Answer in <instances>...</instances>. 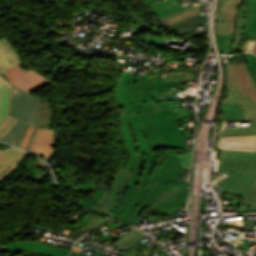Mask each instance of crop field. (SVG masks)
Returning <instances> with one entry per match:
<instances>
[{
	"label": "crop field",
	"instance_id": "55",
	"mask_svg": "<svg viewBox=\"0 0 256 256\" xmlns=\"http://www.w3.org/2000/svg\"><path fill=\"white\" fill-rule=\"evenodd\" d=\"M140 1H142V0H140Z\"/></svg>",
	"mask_w": 256,
	"mask_h": 256
},
{
	"label": "crop field",
	"instance_id": "28",
	"mask_svg": "<svg viewBox=\"0 0 256 256\" xmlns=\"http://www.w3.org/2000/svg\"><path fill=\"white\" fill-rule=\"evenodd\" d=\"M244 37L256 39V20L245 19Z\"/></svg>",
	"mask_w": 256,
	"mask_h": 256
},
{
	"label": "crop field",
	"instance_id": "20",
	"mask_svg": "<svg viewBox=\"0 0 256 256\" xmlns=\"http://www.w3.org/2000/svg\"><path fill=\"white\" fill-rule=\"evenodd\" d=\"M52 122V109L49 102L40 97L39 127L50 128Z\"/></svg>",
	"mask_w": 256,
	"mask_h": 256
},
{
	"label": "crop field",
	"instance_id": "24",
	"mask_svg": "<svg viewBox=\"0 0 256 256\" xmlns=\"http://www.w3.org/2000/svg\"><path fill=\"white\" fill-rule=\"evenodd\" d=\"M218 144L256 145V135L219 138Z\"/></svg>",
	"mask_w": 256,
	"mask_h": 256
},
{
	"label": "crop field",
	"instance_id": "38",
	"mask_svg": "<svg viewBox=\"0 0 256 256\" xmlns=\"http://www.w3.org/2000/svg\"><path fill=\"white\" fill-rule=\"evenodd\" d=\"M181 8H183V6L181 4H178V5H176V6L172 7V8H169V9H167L165 11H162V12L156 14V16L159 18V17L164 16L166 14L175 12V11L181 9Z\"/></svg>",
	"mask_w": 256,
	"mask_h": 256
},
{
	"label": "crop field",
	"instance_id": "14",
	"mask_svg": "<svg viewBox=\"0 0 256 256\" xmlns=\"http://www.w3.org/2000/svg\"><path fill=\"white\" fill-rule=\"evenodd\" d=\"M21 63L20 57L5 39H0V73Z\"/></svg>",
	"mask_w": 256,
	"mask_h": 256
},
{
	"label": "crop field",
	"instance_id": "44",
	"mask_svg": "<svg viewBox=\"0 0 256 256\" xmlns=\"http://www.w3.org/2000/svg\"><path fill=\"white\" fill-rule=\"evenodd\" d=\"M34 164H36L38 167L46 170L48 169L49 167L47 166L46 163H44L43 161H41L40 159H38V161L34 162Z\"/></svg>",
	"mask_w": 256,
	"mask_h": 256
},
{
	"label": "crop field",
	"instance_id": "53",
	"mask_svg": "<svg viewBox=\"0 0 256 256\" xmlns=\"http://www.w3.org/2000/svg\"><path fill=\"white\" fill-rule=\"evenodd\" d=\"M203 256H208V254L204 253Z\"/></svg>",
	"mask_w": 256,
	"mask_h": 256
},
{
	"label": "crop field",
	"instance_id": "10",
	"mask_svg": "<svg viewBox=\"0 0 256 256\" xmlns=\"http://www.w3.org/2000/svg\"><path fill=\"white\" fill-rule=\"evenodd\" d=\"M243 0H219L215 14L217 35L234 34L237 10Z\"/></svg>",
	"mask_w": 256,
	"mask_h": 256
},
{
	"label": "crop field",
	"instance_id": "7",
	"mask_svg": "<svg viewBox=\"0 0 256 256\" xmlns=\"http://www.w3.org/2000/svg\"><path fill=\"white\" fill-rule=\"evenodd\" d=\"M35 97L11 87L9 116L19 119L2 141L14 144L28 124L34 125Z\"/></svg>",
	"mask_w": 256,
	"mask_h": 256
},
{
	"label": "crop field",
	"instance_id": "48",
	"mask_svg": "<svg viewBox=\"0 0 256 256\" xmlns=\"http://www.w3.org/2000/svg\"><path fill=\"white\" fill-rule=\"evenodd\" d=\"M252 134H256V132L240 133V134H232V135H224V136H220V137H225V136H237V135H252Z\"/></svg>",
	"mask_w": 256,
	"mask_h": 256
},
{
	"label": "crop field",
	"instance_id": "17",
	"mask_svg": "<svg viewBox=\"0 0 256 256\" xmlns=\"http://www.w3.org/2000/svg\"><path fill=\"white\" fill-rule=\"evenodd\" d=\"M132 128L136 134L140 154H150L138 114H128Z\"/></svg>",
	"mask_w": 256,
	"mask_h": 256
},
{
	"label": "crop field",
	"instance_id": "45",
	"mask_svg": "<svg viewBox=\"0 0 256 256\" xmlns=\"http://www.w3.org/2000/svg\"><path fill=\"white\" fill-rule=\"evenodd\" d=\"M243 55H245L248 62H256V55L246 53H243Z\"/></svg>",
	"mask_w": 256,
	"mask_h": 256
},
{
	"label": "crop field",
	"instance_id": "42",
	"mask_svg": "<svg viewBox=\"0 0 256 256\" xmlns=\"http://www.w3.org/2000/svg\"><path fill=\"white\" fill-rule=\"evenodd\" d=\"M245 18L256 19V11L246 9Z\"/></svg>",
	"mask_w": 256,
	"mask_h": 256
},
{
	"label": "crop field",
	"instance_id": "27",
	"mask_svg": "<svg viewBox=\"0 0 256 256\" xmlns=\"http://www.w3.org/2000/svg\"><path fill=\"white\" fill-rule=\"evenodd\" d=\"M30 168L26 173L25 175L23 176V178H27V179H30V180H34L36 181V179L38 177L44 179V180H48V179H51V175L50 173L48 172H42L40 171L39 169L35 168L34 166L30 165ZM50 182V180H49ZM51 183V182H50Z\"/></svg>",
	"mask_w": 256,
	"mask_h": 256
},
{
	"label": "crop field",
	"instance_id": "19",
	"mask_svg": "<svg viewBox=\"0 0 256 256\" xmlns=\"http://www.w3.org/2000/svg\"><path fill=\"white\" fill-rule=\"evenodd\" d=\"M244 10H245V0L238 11L232 53L241 51V48H242Z\"/></svg>",
	"mask_w": 256,
	"mask_h": 256
},
{
	"label": "crop field",
	"instance_id": "13",
	"mask_svg": "<svg viewBox=\"0 0 256 256\" xmlns=\"http://www.w3.org/2000/svg\"><path fill=\"white\" fill-rule=\"evenodd\" d=\"M27 155L26 152L15 147L0 152V179L12 171Z\"/></svg>",
	"mask_w": 256,
	"mask_h": 256
},
{
	"label": "crop field",
	"instance_id": "31",
	"mask_svg": "<svg viewBox=\"0 0 256 256\" xmlns=\"http://www.w3.org/2000/svg\"><path fill=\"white\" fill-rule=\"evenodd\" d=\"M250 124H251V127H235V128L222 130L221 135L232 134V133H240V132L256 131V121H250Z\"/></svg>",
	"mask_w": 256,
	"mask_h": 256
},
{
	"label": "crop field",
	"instance_id": "43",
	"mask_svg": "<svg viewBox=\"0 0 256 256\" xmlns=\"http://www.w3.org/2000/svg\"><path fill=\"white\" fill-rule=\"evenodd\" d=\"M246 8L256 10V0H246Z\"/></svg>",
	"mask_w": 256,
	"mask_h": 256
},
{
	"label": "crop field",
	"instance_id": "12",
	"mask_svg": "<svg viewBox=\"0 0 256 256\" xmlns=\"http://www.w3.org/2000/svg\"><path fill=\"white\" fill-rule=\"evenodd\" d=\"M52 149L53 129L38 128L30 151L42 155L49 162Z\"/></svg>",
	"mask_w": 256,
	"mask_h": 256
},
{
	"label": "crop field",
	"instance_id": "37",
	"mask_svg": "<svg viewBox=\"0 0 256 256\" xmlns=\"http://www.w3.org/2000/svg\"><path fill=\"white\" fill-rule=\"evenodd\" d=\"M169 1H171V0H166V1H164V2L154 6L152 8H149V9L151 11H153L154 13H158V12H160L162 10H165V9L169 8L168 5L171 4Z\"/></svg>",
	"mask_w": 256,
	"mask_h": 256
},
{
	"label": "crop field",
	"instance_id": "39",
	"mask_svg": "<svg viewBox=\"0 0 256 256\" xmlns=\"http://www.w3.org/2000/svg\"><path fill=\"white\" fill-rule=\"evenodd\" d=\"M34 126H30V128L28 129L27 133L25 134V136L23 137L22 141L20 142L19 146L20 148H25L27 142H28V139L31 135V132H32V129H33Z\"/></svg>",
	"mask_w": 256,
	"mask_h": 256
},
{
	"label": "crop field",
	"instance_id": "22",
	"mask_svg": "<svg viewBox=\"0 0 256 256\" xmlns=\"http://www.w3.org/2000/svg\"><path fill=\"white\" fill-rule=\"evenodd\" d=\"M146 236L139 232H135L133 229L127 232L125 236H123L118 242L115 243V245L129 250L131 247H133L135 244H137L139 241L144 239Z\"/></svg>",
	"mask_w": 256,
	"mask_h": 256
},
{
	"label": "crop field",
	"instance_id": "40",
	"mask_svg": "<svg viewBox=\"0 0 256 256\" xmlns=\"http://www.w3.org/2000/svg\"><path fill=\"white\" fill-rule=\"evenodd\" d=\"M148 241V240H147ZM147 241L143 242L141 245H139L137 248H139L140 246H142L144 243H146ZM137 248H135L134 250L130 251L129 253H127L125 256H133L134 254H136L138 251L136 250ZM69 256H89V255H85V254H81L78 252H74L72 251L70 253Z\"/></svg>",
	"mask_w": 256,
	"mask_h": 256
},
{
	"label": "crop field",
	"instance_id": "33",
	"mask_svg": "<svg viewBox=\"0 0 256 256\" xmlns=\"http://www.w3.org/2000/svg\"><path fill=\"white\" fill-rule=\"evenodd\" d=\"M98 178L92 179L90 182L83 184V185H78V186H73V188L77 193L81 192H87V191H93L96 183H97Z\"/></svg>",
	"mask_w": 256,
	"mask_h": 256
},
{
	"label": "crop field",
	"instance_id": "11",
	"mask_svg": "<svg viewBox=\"0 0 256 256\" xmlns=\"http://www.w3.org/2000/svg\"><path fill=\"white\" fill-rule=\"evenodd\" d=\"M0 251L3 252H37L44 256H66L69 249L55 247L53 245L33 242H13L6 245Z\"/></svg>",
	"mask_w": 256,
	"mask_h": 256
},
{
	"label": "crop field",
	"instance_id": "18",
	"mask_svg": "<svg viewBox=\"0 0 256 256\" xmlns=\"http://www.w3.org/2000/svg\"><path fill=\"white\" fill-rule=\"evenodd\" d=\"M120 117H121V121H122V126H123L124 135H125L127 149H128V152L130 153V158H129L127 168H132L135 163V154H137L136 150H135V144H134V140H133V137H132V134L130 131V125H129V120H128L127 114L120 115Z\"/></svg>",
	"mask_w": 256,
	"mask_h": 256
},
{
	"label": "crop field",
	"instance_id": "41",
	"mask_svg": "<svg viewBox=\"0 0 256 256\" xmlns=\"http://www.w3.org/2000/svg\"><path fill=\"white\" fill-rule=\"evenodd\" d=\"M237 63H244L241 54L232 56L231 63H228V64H237Z\"/></svg>",
	"mask_w": 256,
	"mask_h": 256
},
{
	"label": "crop field",
	"instance_id": "9",
	"mask_svg": "<svg viewBox=\"0 0 256 256\" xmlns=\"http://www.w3.org/2000/svg\"><path fill=\"white\" fill-rule=\"evenodd\" d=\"M9 82L21 90L31 93L33 90H37L49 83L48 79L37 73L36 71L29 69L24 70L19 65L16 67L1 73Z\"/></svg>",
	"mask_w": 256,
	"mask_h": 256
},
{
	"label": "crop field",
	"instance_id": "1",
	"mask_svg": "<svg viewBox=\"0 0 256 256\" xmlns=\"http://www.w3.org/2000/svg\"><path fill=\"white\" fill-rule=\"evenodd\" d=\"M218 172L229 175L218 189L243 197L241 204L249 205V211H256V152L222 150Z\"/></svg>",
	"mask_w": 256,
	"mask_h": 256
},
{
	"label": "crop field",
	"instance_id": "54",
	"mask_svg": "<svg viewBox=\"0 0 256 256\" xmlns=\"http://www.w3.org/2000/svg\"><path fill=\"white\" fill-rule=\"evenodd\" d=\"M254 76V78H255V80H256V75H253Z\"/></svg>",
	"mask_w": 256,
	"mask_h": 256
},
{
	"label": "crop field",
	"instance_id": "30",
	"mask_svg": "<svg viewBox=\"0 0 256 256\" xmlns=\"http://www.w3.org/2000/svg\"><path fill=\"white\" fill-rule=\"evenodd\" d=\"M200 8L192 10V11L187 12V13H184V14H182L180 16H177L175 18H172V19H170L168 21H165V22H163V25H164V27H166V26L171 25L173 23L179 22V21L184 20L186 18H190V17H192L194 15H197V14L200 13Z\"/></svg>",
	"mask_w": 256,
	"mask_h": 256
},
{
	"label": "crop field",
	"instance_id": "29",
	"mask_svg": "<svg viewBox=\"0 0 256 256\" xmlns=\"http://www.w3.org/2000/svg\"><path fill=\"white\" fill-rule=\"evenodd\" d=\"M17 119H14L9 116H5L0 122V140L3 136L9 131V129L15 124Z\"/></svg>",
	"mask_w": 256,
	"mask_h": 256
},
{
	"label": "crop field",
	"instance_id": "35",
	"mask_svg": "<svg viewBox=\"0 0 256 256\" xmlns=\"http://www.w3.org/2000/svg\"><path fill=\"white\" fill-rule=\"evenodd\" d=\"M38 107H39V97H36V109H35V127H34V130L32 132V135L30 137V140L27 144V147H26V150H30V147H31V144H32V141H33V138H34V135H35V132H36V129L38 127Z\"/></svg>",
	"mask_w": 256,
	"mask_h": 256
},
{
	"label": "crop field",
	"instance_id": "2",
	"mask_svg": "<svg viewBox=\"0 0 256 256\" xmlns=\"http://www.w3.org/2000/svg\"><path fill=\"white\" fill-rule=\"evenodd\" d=\"M174 89L176 88L149 90V73L139 75L124 72L115 81L117 106L123 107L124 113L158 110V101L171 100L169 97Z\"/></svg>",
	"mask_w": 256,
	"mask_h": 256
},
{
	"label": "crop field",
	"instance_id": "4",
	"mask_svg": "<svg viewBox=\"0 0 256 256\" xmlns=\"http://www.w3.org/2000/svg\"><path fill=\"white\" fill-rule=\"evenodd\" d=\"M113 172L116 174L100 177L93 195L84 197L78 203L112 217L133 191L132 189H123L132 174V169L116 170Z\"/></svg>",
	"mask_w": 256,
	"mask_h": 256
},
{
	"label": "crop field",
	"instance_id": "26",
	"mask_svg": "<svg viewBox=\"0 0 256 256\" xmlns=\"http://www.w3.org/2000/svg\"><path fill=\"white\" fill-rule=\"evenodd\" d=\"M234 35L217 36L220 53L231 54Z\"/></svg>",
	"mask_w": 256,
	"mask_h": 256
},
{
	"label": "crop field",
	"instance_id": "8",
	"mask_svg": "<svg viewBox=\"0 0 256 256\" xmlns=\"http://www.w3.org/2000/svg\"><path fill=\"white\" fill-rule=\"evenodd\" d=\"M151 114L164 147H179L190 152L171 108H164Z\"/></svg>",
	"mask_w": 256,
	"mask_h": 256
},
{
	"label": "crop field",
	"instance_id": "15",
	"mask_svg": "<svg viewBox=\"0 0 256 256\" xmlns=\"http://www.w3.org/2000/svg\"><path fill=\"white\" fill-rule=\"evenodd\" d=\"M139 116H140L144 133L151 151L153 152L157 148L163 147L159 139L151 114L144 113V114H139Z\"/></svg>",
	"mask_w": 256,
	"mask_h": 256
},
{
	"label": "crop field",
	"instance_id": "3",
	"mask_svg": "<svg viewBox=\"0 0 256 256\" xmlns=\"http://www.w3.org/2000/svg\"><path fill=\"white\" fill-rule=\"evenodd\" d=\"M188 198L187 181H173L141 189L118 220L133 225L141 211L149 209L172 214Z\"/></svg>",
	"mask_w": 256,
	"mask_h": 256
},
{
	"label": "crop field",
	"instance_id": "46",
	"mask_svg": "<svg viewBox=\"0 0 256 256\" xmlns=\"http://www.w3.org/2000/svg\"><path fill=\"white\" fill-rule=\"evenodd\" d=\"M252 74H256V63H246Z\"/></svg>",
	"mask_w": 256,
	"mask_h": 256
},
{
	"label": "crop field",
	"instance_id": "52",
	"mask_svg": "<svg viewBox=\"0 0 256 256\" xmlns=\"http://www.w3.org/2000/svg\"><path fill=\"white\" fill-rule=\"evenodd\" d=\"M154 1H156V0H145V1H143V3H144L145 5H147V4H149V3H151V2H154Z\"/></svg>",
	"mask_w": 256,
	"mask_h": 256
},
{
	"label": "crop field",
	"instance_id": "16",
	"mask_svg": "<svg viewBox=\"0 0 256 256\" xmlns=\"http://www.w3.org/2000/svg\"><path fill=\"white\" fill-rule=\"evenodd\" d=\"M189 74H191V72H162V81H153V89L182 86L183 82H185V77H183V75L187 76Z\"/></svg>",
	"mask_w": 256,
	"mask_h": 256
},
{
	"label": "crop field",
	"instance_id": "50",
	"mask_svg": "<svg viewBox=\"0 0 256 256\" xmlns=\"http://www.w3.org/2000/svg\"><path fill=\"white\" fill-rule=\"evenodd\" d=\"M191 161L182 166V169L189 170Z\"/></svg>",
	"mask_w": 256,
	"mask_h": 256
},
{
	"label": "crop field",
	"instance_id": "49",
	"mask_svg": "<svg viewBox=\"0 0 256 256\" xmlns=\"http://www.w3.org/2000/svg\"><path fill=\"white\" fill-rule=\"evenodd\" d=\"M10 146L0 142V150H7Z\"/></svg>",
	"mask_w": 256,
	"mask_h": 256
},
{
	"label": "crop field",
	"instance_id": "6",
	"mask_svg": "<svg viewBox=\"0 0 256 256\" xmlns=\"http://www.w3.org/2000/svg\"><path fill=\"white\" fill-rule=\"evenodd\" d=\"M224 104H240L245 119L256 120V82L246 64L226 65Z\"/></svg>",
	"mask_w": 256,
	"mask_h": 256
},
{
	"label": "crop field",
	"instance_id": "5",
	"mask_svg": "<svg viewBox=\"0 0 256 256\" xmlns=\"http://www.w3.org/2000/svg\"><path fill=\"white\" fill-rule=\"evenodd\" d=\"M154 160L155 154L136 155L133 174L124 187L133 188L135 190L113 218L118 219L120 214L128 207L139 191L136 190V188H143L147 185L178 179L177 154H168L167 161L164 162L161 168H159L161 158L157 168H153Z\"/></svg>",
	"mask_w": 256,
	"mask_h": 256
},
{
	"label": "crop field",
	"instance_id": "21",
	"mask_svg": "<svg viewBox=\"0 0 256 256\" xmlns=\"http://www.w3.org/2000/svg\"><path fill=\"white\" fill-rule=\"evenodd\" d=\"M4 80L0 76V121L8 113L9 92L11 87V85Z\"/></svg>",
	"mask_w": 256,
	"mask_h": 256
},
{
	"label": "crop field",
	"instance_id": "51",
	"mask_svg": "<svg viewBox=\"0 0 256 256\" xmlns=\"http://www.w3.org/2000/svg\"><path fill=\"white\" fill-rule=\"evenodd\" d=\"M29 128V125L27 126V128L25 129V131L23 132L22 136L20 137V139L18 140V142L16 143V146H18L19 142L21 141L22 137L24 136V134L26 133L27 129Z\"/></svg>",
	"mask_w": 256,
	"mask_h": 256
},
{
	"label": "crop field",
	"instance_id": "25",
	"mask_svg": "<svg viewBox=\"0 0 256 256\" xmlns=\"http://www.w3.org/2000/svg\"><path fill=\"white\" fill-rule=\"evenodd\" d=\"M223 112V120L236 119V121L245 120L239 105H225L220 107Z\"/></svg>",
	"mask_w": 256,
	"mask_h": 256
},
{
	"label": "crop field",
	"instance_id": "32",
	"mask_svg": "<svg viewBox=\"0 0 256 256\" xmlns=\"http://www.w3.org/2000/svg\"><path fill=\"white\" fill-rule=\"evenodd\" d=\"M105 221H106L105 218L93 215L91 220L89 221V223L86 226H84V227H82V228H80L78 230H86V231H88V230H91L93 228H96L98 226L103 225Z\"/></svg>",
	"mask_w": 256,
	"mask_h": 256
},
{
	"label": "crop field",
	"instance_id": "34",
	"mask_svg": "<svg viewBox=\"0 0 256 256\" xmlns=\"http://www.w3.org/2000/svg\"><path fill=\"white\" fill-rule=\"evenodd\" d=\"M218 148L228 150L256 151V146L218 145Z\"/></svg>",
	"mask_w": 256,
	"mask_h": 256
},
{
	"label": "crop field",
	"instance_id": "36",
	"mask_svg": "<svg viewBox=\"0 0 256 256\" xmlns=\"http://www.w3.org/2000/svg\"><path fill=\"white\" fill-rule=\"evenodd\" d=\"M200 6H202V4H200V5H198V6H195V7H192V8H190V9H188L189 6H187V7H185L184 9H181V10L175 12V13L166 15V16L161 17V18H159V19L163 22V21H165V20H167V19H170V18H172V17H175V16H177V15H179V14H182V13H184V12H187V11H189V10L195 9V8H197V7H200Z\"/></svg>",
	"mask_w": 256,
	"mask_h": 256
},
{
	"label": "crop field",
	"instance_id": "47",
	"mask_svg": "<svg viewBox=\"0 0 256 256\" xmlns=\"http://www.w3.org/2000/svg\"><path fill=\"white\" fill-rule=\"evenodd\" d=\"M248 211V206H244V205H239V209L237 213H244Z\"/></svg>",
	"mask_w": 256,
	"mask_h": 256
},
{
	"label": "crop field",
	"instance_id": "23",
	"mask_svg": "<svg viewBox=\"0 0 256 256\" xmlns=\"http://www.w3.org/2000/svg\"><path fill=\"white\" fill-rule=\"evenodd\" d=\"M207 18H208V15H201V14H199V15H197L195 17H192L190 19H186L184 21H181L179 23L173 24V25L168 26L166 28L168 30H170L172 33H174L176 31L183 30V29L192 27L194 25L201 24L203 22H207Z\"/></svg>",
	"mask_w": 256,
	"mask_h": 256
}]
</instances>
